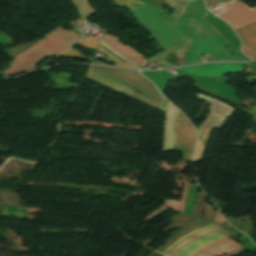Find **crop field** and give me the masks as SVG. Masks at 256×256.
I'll return each instance as SVG.
<instances>
[{"label":"crop field","instance_id":"obj_1","mask_svg":"<svg viewBox=\"0 0 256 256\" xmlns=\"http://www.w3.org/2000/svg\"><path fill=\"white\" fill-rule=\"evenodd\" d=\"M81 36L72 31L64 29H56L48 35L44 36L45 39L39 41L36 44H30L14 49H8L14 54H19L10 64L12 68L6 69L4 72L7 77L16 76L26 71L35 69L43 60L49 57L60 55L65 51L72 43L79 40Z\"/></svg>","mask_w":256,"mask_h":256},{"label":"crop field","instance_id":"obj_2","mask_svg":"<svg viewBox=\"0 0 256 256\" xmlns=\"http://www.w3.org/2000/svg\"><path fill=\"white\" fill-rule=\"evenodd\" d=\"M226 11L219 13L217 16L230 23L234 29L248 25L256 21V7L250 9L245 4L234 1L223 5ZM240 36L243 47L242 51L252 59H256V22L236 29Z\"/></svg>","mask_w":256,"mask_h":256},{"label":"crop field","instance_id":"obj_3","mask_svg":"<svg viewBox=\"0 0 256 256\" xmlns=\"http://www.w3.org/2000/svg\"><path fill=\"white\" fill-rule=\"evenodd\" d=\"M90 70L113 79L161 103L162 95L139 71L106 66H92Z\"/></svg>","mask_w":256,"mask_h":256},{"label":"crop field","instance_id":"obj_4","mask_svg":"<svg viewBox=\"0 0 256 256\" xmlns=\"http://www.w3.org/2000/svg\"><path fill=\"white\" fill-rule=\"evenodd\" d=\"M196 138L197 135L194 127L189 120L179 112L174 149L184 151V160L191 159Z\"/></svg>","mask_w":256,"mask_h":256},{"label":"crop field","instance_id":"obj_5","mask_svg":"<svg viewBox=\"0 0 256 256\" xmlns=\"http://www.w3.org/2000/svg\"><path fill=\"white\" fill-rule=\"evenodd\" d=\"M197 97L212 103L210 106V114L204 123L197 129L199 135L201 134L204 126L220 129L228 120L229 116L235 111L234 108L217 100L208 98L202 94L198 93Z\"/></svg>","mask_w":256,"mask_h":256},{"label":"crop field","instance_id":"obj_6","mask_svg":"<svg viewBox=\"0 0 256 256\" xmlns=\"http://www.w3.org/2000/svg\"><path fill=\"white\" fill-rule=\"evenodd\" d=\"M251 64H215L181 68L180 71L202 76L240 73Z\"/></svg>","mask_w":256,"mask_h":256},{"label":"crop field","instance_id":"obj_7","mask_svg":"<svg viewBox=\"0 0 256 256\" xmlns=\"http://www.w3.org/2000/svg\"><path fill=\"white\" fill-rule=\"evenodd\" d=\"M104 41H106L108 44L113 46L115 49L120 51L122 54H124L129 59L135 61L137 64L141 65L142 61L144 60V57L134 50L130 49L129 47L125 46L124 44L118 42L116 37L109 35L108 33L103 35L101 37Z\"/></svg>","mask_w":256,"mask_h":256},{"label":"crop field","instance_id":"obj_8","mask_svg":"<svg viewBox=\"0 0 256 256\" xmlns=\"http://www.w3.org/2000/svg\"><path fill=\"white\" fill-rule=\"evenodd\" d=\"M224 235H226V233L222 229H220L214 233H211L205 237H202V238H199V239L193 241L192 243H190L187 246H185L184 248H182L179 252H177L173 256H187L188 254H190L197 248H199V247H201L219 237H222Z\"/></svg>","mask_w":256,"mask_h":256},{"label":"crop field","instance_id":"obj_9","mask_svg":"<svg viewBox=\"0 0 256 256\" xmlns=\"http://www.w3.org/2000/svg\"><path fill=\"white\" fill-rule=\"evenodd\" d=\"M239 248H241V246H239L235 241L230 239L209 249L207 248L208 250L198 254L197 256H220L222 254L235 251Z\"/></svg>","mask_w":256,"mask_h":256},{"label":"crop field","instance_id":"obj_10","mask_svg":"<svg viewBox=\"0 0 256 256\" xmlns=\"http://www.w3.org/2000/svg\"><path fill=\"white\" fill-rule=\"evenodd\" d=\"M187 186L188 185L184 183L183 193L180 201L164 199V205L182 212L184 200L186 198Z\"/></svg>","mask_w":256,"mask_h":256},{"label":"crop field","instance_id":"obj_11","mask_svg":"<svg viewBox=\"0 0 256 256\" xmlns=\"http://www.w3.org/2000/svg\"><path fill=\"white\" fill-rule=\"evenodd\" d=\"M100 43H102L104 46H106L107 48H109L111 51H113L114 53H116L114 50H112L110 47H108L106 44H104L102 41H100ZM102 44H100V46H102L103 48H105L107 51H109L110 53H112L113 55H115L116 57L120 56L118 53L114 54L113 52H111L109 49H107L106 47H104ZM102 47L99 48L100 51L108 54L112 59H114L115 61H117L118 63L116 64L117 66H124V67H132V68H136V66L131 63L130 61L124 59L122 56H120L121 58H123L125 61H127V64H124L122 62H120L118 59H116L114 56H112L110 53H108L106 50H104ZM120 57H118L120 60H122L123 62H125L123 59H121ZM126 63V62H125Z\"/></svg>","mask_w":256,"mask_h":256},{"label":"crop field","instance_id":"obj_12","mask_svg":"<svg viewBox=\"0 0 256 256\" xmlns=\"http://www.w3.org/2000/svg\"><path fill=\"white\" fill-rule=\"evenodd\" d=\"M218 228H220V227H219V226H216V227H214V228H212V229H210V230H207V231H205V232H202V233H200V234H197V235H195V236L190 237V238L187 239L185 242L181 243L180 245H178L177 247H175L173 250H171L169 253H167V255H169V256L173 255L175 252H177L178 250H180L182 247H184V246H185L186 244H188L189 242H191V241H193V240H195V239H197V238H199V237H201V236H204V235H206V234H208V233H210V232H212V231H214V230H216V229H218Z\"/></svg>","mask_w":256,"mask_h":256},{"label":"crop field","instance_id":"obj_13","mask_svg":"<svg viewBox=\"0 0 256 256\" xmlns=\"http://www.w3.org/2000/svg\"><path fill=\"white\" fill-rule=\"evenodd\" d=\"M205 199L206 196L204 193L199 192L198 194V199H197V204H196V209H195V216L201 217L203 215V211H204V206H205Z\"/></svg>","mask_w":256,"mask_h":256},{"label":"crop field","instance_id":"obj_14","mask_svg":"<svg viewBox=\"0 0 256 256\" xmlns=\"http://www.w3.org/2000/svg\"><path fill=\"white\" fill-rule=\"evenodd\" d=\"M214 226H215V225L210 224V225H208V226H206V227H204V228H201V229H199V230H196V231H194V232H192V233L187 234L186 236H184V237H182L181 239L177 240L174 244H172L169 248H167L166 250H164L162 253L166 254L167 252H169L171 249H173L175 246H177L179 243H181V242H182L183 240H185L186 238H188V237H190V236H192V235H194V234H197V233H199V232H202V231H204V230H206V229H209V228H211V227H214Z\"/></svg>","mask_w":256,"mask_h":256},{"label":"crop field","instance_id":"obj_15","mask_svg":"<svg viewBox=\"0 0 256 256\" xmlns=\"http://www.w3.org/2000/svg\"><path fill=\"white\" fill-rule=\"evenodd\" d=\"M130 97H132V98H134V99H136V100H139V101H141V102H143V103H145V104H147V105H150V106H152V107H154V108H158V106H159V103H157V102H155V101H152V100H150V99H148V98H146V97H144V96H142V95H140V94H138V93H136V92H134L133 94H131L130 95Z\"/></svg>","mask_w":256,"mask_h":256},{"label":"crop field","instance_id":"obj_16","mask_svg":"<svg viewBox=\"0 0 256 256\" xmlns=\"http://www.w3.org/2000/svg\"><path fill=\"white\" fill-rule=\"evenodd\" d=\"M78 42L88 49H91L92 47L97 49L98 39L93 36L80 40Z\"/></svg>","mask_w":256,"mask_h":256},{"label":"crop field","instance_id":"obj_17","mask_svg":"<svg viewBox=\"0 0 256 256\" xmlns=\"http://www.w3.org/2000/svg\"><path fill=\"white\" fill-rule=\"evenodd\" d=\"M228 239H230V237H229L228 235H226V236H224V237H222V238H220V239H217V240H215V241H213V242H211V243L205 245L204 247H202V248H200V249L194 251V252H193L192 254H190L189 256H195V255H197L198 253L204 251L207 247L216 245V244L221 243V242H223V241H226V240H228Z\"/></svg>","mask_w":256,"mask_h":256},{"label":"crop field","instance_id":"obj_18","mask_svg":"<svg viewBox=\"0 0 256 256\" xmlns=\"http://www.w3.org/2000/svg\"><path fill=\"white\" fill-rule=\"evenodd\" d=\"M208 224H210V222H206V223H204V224H201V225H199V226H196V227H194V228H191V229H188V230L182 232L181 234H179V235H177L176 237H174L171 241H169L166 245H164L163 247H161L158 251H161V250H163V249L169 247L173 242H175V241H176L180 236H182L183 234H185V233H187V232H189V231H191V230L204 227V226H206V225H208Z\"/></svg>","mask_w":256,"mask_h":256},{"label":"crop field","instance_id":"obj_19","mask_svg":"<svg viewBox=\"0 0 256 256\" xmlns=\"http://www.w3.org/2000/svg\"><path fill=\"white\" fill-rule=\"evenodd\" d=\"M204 149H205L204 145L201 143L200 139H198V145H197V149H196L193 161L201 162Z\"/></svg>","mask_w":256,"mask_h":256},{"label":"crop field","instance_id":"obj_20","mask_svg":"<svg viewBox=\"0 0 256 256\" xmlns=\"http://www.w3.org/2000/svg\"><path fill=\"white\" fill-rule=\"evenodd\" d=\"M62 56H65V57H75V58H85L81 53H79L77 50H75L72 46L68 50H66L62 54Z\"/></svg>","mask_w":256,"mask_h":256},{"label":"crop field","instance_id":"obj_21","mask_svg":"<svg viewBox=\"0 0 256 256\" xmlns=\"http://www.w3.org/2000/svg\"><path fill=\"white\" fill-rule=\"evenodd\" d=\"M212 130L213 129H211V128L205 127V129L203 130V132H202V134L200 136V138L202 139V141H203L205 146H206V144L208 142V139L210 137V134H211Z\"/></svg>","mask_w":256,"mask_h":256},{"label":"crop field","instance_id":"obj_22","mask_svg":"<svg viewBox=\"0 0 256 256\" xmlns=\"http://www.w3.org/2000/svg\"><path fill=\"white\" fill-rule=\"evenodd\" d=\"M222 221H223V218H222L220 212H219L218 209H217V213H216V217H215V221H214V222L221 225V224H222Z\"/></svg>","mask_w":256,"mask_h":256},{"label":"crop field","instance_id":"obj_23","mask_svg":"<svg viewBox=\"0 0 256 256\" xmlns=\"http://www.w3.org/2000/svg\"><path fill=\"white\" fill-rule=\"evenodd\" d=\"M119 7L133 0H113Z\"/></svg>","mask_w":256,"mask_h":256},{"label":"crop field","instance_id":"obj_24","mask_svg":"<svg viewBox=\"0 0 256 256\" xmlns=\"http://www.w3.org/2000/svg\"><path fill=\"white\" fill-rule=\"evenodd\" d=\"M141 4H144V3H142V2H132L128 5H126V6L129 7L130 9H132V8L138 6V5H141Z\"/></svg>","mask_w":256,"mask_h":256}]
</instances>
